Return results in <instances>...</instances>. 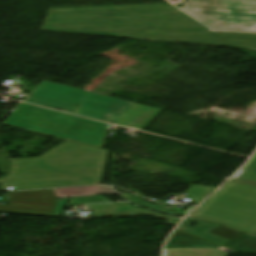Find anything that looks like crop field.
Masks as SVG:
<instances>
[{
    "label": "crop field",
    "instance_id": "crop-field-12",
    "mask_svg": "<svg viewBox=\"0 0 256 256\" xmlns=\"http://www.w3.org/2000/svg\"><path fill=\"white\" fill-rule=\"evenodd\" d=\"M66 201H67V199L58 200L56 202L53 217H60L61 216L62 209H63ZM105 202H111V201L104 198L103 196H94V197L71 198V199H69L68 204L69 205H76V204L105 203Z\"/></svg>",
    "mask_w": 256,
    "mask_h": 256
},
{
    "label": "crop field",
    "instance_id": "crop-field-10",
    "mask_svg": "<svg viewBox=\"0 0 256 256\" xmlns=\"http://www.w3.org/2000/svg\"><path fill=\"white\" fill-rule=\"evenodd\" d=\"M219 246L203 241L201 239L187 235L181 231L176 233L170 239L166 248H217Z\"/></svg>",
    "mask_w": 256,
    "mask_h": 256
},
{
    "label": "crop field",
    "instance_id": "crop-field-1",
    "mask_svg": "<svg viewBox=\"0 0 256 256\" xmlns=\"http://www.w3.org/2000/svg\"><path fill=\"white\" fill-rule=\"evenodd\" d=\"M23 102L141 130L160 111L42 80Z\"/></svg>",
    "mask_w": 256,
    "mask_h": 256
},
{
    "label": "crop field",
    "instance_id": "crop-field-2",
    "mask_svg": "<svg viewBox=\"0 0 256 256\" xmlns=\"http://www.w3.org/2000/svg\"><path fill=\"white\" fill-rule=\"evenodd\" d=\"M168 12H179V14L52 20V18H63V17L126 15V14H147V13H168ZM172 17H183V18L63 24V25L52 24V23H63V22L107 21V20L172 18ZM179 21H189V23L75 28V27H85V26L123 25V24L179 22ZM147 28H167V29H180V30L208 31V29H206L204 26H202L192 18L188 17L178 9L47 15L41 30L128 38L129 36Z\"/></svg>",
    "mask_w": 256,
    "mask_h": 256
},
{
    "label": "crop field",
    "instance_id": "crop-field-11",
    "mask_svg": "<svg viewBox=\"0 0 256 256\" xmlns=\"http://www.w3.org/2000/svg\"><path fill=\"white\" fill-rule=\"evenodd\" d=\"M216 249H165L164 256H227Z\"/></svg>",
    "mask_w": 256,
    "mask_h": 256
},
{
    "label": "crop field",
    "instance_id": "crop-field-4",
    "mask_svg": "<svg viewBox=\"0 0 256 256\" xmlns=\"http://www.w3.org/2000/svg\"><path fill=\"white\" fill-rule=\"evenodd\" d=\"M130 38L256 49V34L246 33L148 29Z\"/></svg>",
    "mask_w": 256,
    "mask_h": 256
},
{
    "label": "crop field",
    "instance_id": "crop-field-5",
    "mask_svg": "<svg viewBox=\"0 0 256 256\" xmlns=\"http://www.w3.org/2000/svg\"><path fill=\"white\" fill-rule=\"evenodd\" d=\"M211 29L256 31V13L183 9Z\"/></svg>",
    "mask_w": 256,
    "mask_h": 256
},
{
    "label": "crop field",
    "instance_id": "crop-field-13",
    "mask_svg": "<svg viewBox=\"0 0 256 256\" xmlns=\"http://www.w3.org/2000/svg\"><path fill=\"white\" fill-rule=\"evenodd\" d=\"M123 197H125L126 199L130 200L131 202L133 203H136L138 205H141L143 207H147V208H151V209H155V210H159V211H163V212H166V213H169V214H173V215H180V214H177L173 211H170L168 209H165L163 207H160L158 205H155L153 203H150V202H147V201H144L142 199H139V198H136V197H133L131 195H128V194H121Z\"/></svg>",
    "mask_w": 256,
    "mask_h": 256
},
{
    "label": "crop field",
    "instance_id": "crop-field-3",
    "mask_svg": "<svg viewBox=\"0 0 256 256\" xmlns=\"http://www.w3.org/2000/svg\"><path fill=\"white\" fill-rule=\"evenodd\" d=\"M4 125L101 148L108 125L19 103Z\"/></svg>",
    "mask_w": 256,
    "mask_h": 256
},
{
    "label": "crop field",
    "instance_id": "crop-field-6",
    "mask_svg": "<svg viewBox=\"0 0 256 256\" xmlns=\"http://www.w3.org/2000/svg\"><path fill=\"white\" fill-rule=\"evenodd\" d=\"M94 218L103 217H134V215L154 214L169 219L167 224L176 225L179 219L157 214L139 207L131 206L127 203H116L108 205L90 206Z\"/></svg>",
    "mask_w": 256,
    "mask_h": 256
},
{
    "label": "crop field",
    "instance_id": "crop-field-8",
    "mask_svg": "<svg viewBox=\"0 0 256 256\" xmlns=\"http://www.w3.org/2000/svg\"><path fill=\"white\" fill-rule=\"evenodd\" d=\"M166 8H174V7L169 5V4H157V5H133V6L61 8V9H49L47 14L102 12V11H123V10H144V9H166Z\"/></svg>",
    "mask_w": 256,
    "mask_h": 256
},
{
    "label": "crop field",
    "instance_id": "crop-field-9",
    "mask_svg": "<svg viewBox=\"0 0 256 256\" xmlns=\"http://www.w3.org/2000/svg\"><path fill=\"white\" fill-rule=\"evenodd\" d=\"M191 221L199 223L196 227L192 228L190 227ZM220 225L200 221L197 219H193L188 217L180 226L178 229L184 230L186 232L195 234L197 236H200L202 238H205L207 240L213 241L215 243H218L220 245L228 242L229 240L214 236L209 234L208 232L219 227Z\"/></svg>",
    "mask_w": 256,
    "mask_h": 256
},
{
    "label": "crop field",
    "instance_id": "crop-field-7",
    "mask_svg": "<svg viewBox=\"0 0 256 256\" xmlns=\"http://www.w3.org/2000/svg\"><path fill=\"white\" fill-rule=\"evenodd\" d=\"M183 7L256 12V0H185Z\"/></svg>",
    "mask_w": 256,
    "mask_h": 256
}]
</instances>
